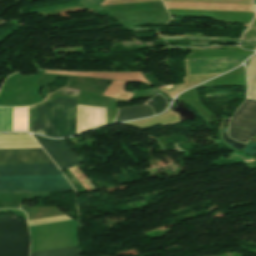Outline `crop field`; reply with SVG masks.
Wrapping results in <instances>:
<instances>
[{"label":"crop field","instance_id":"crop-field-1","mask_svg":"<svg viewBox=\"0 0 256 256\" xmlns=\"http://www.w3.org/2000/svg\"><path fill=\"white\" fill-rule=\"evenodd\" d=\"M66 181L55 164L0 165L1 182ZM25 190V191H24ZM75 191L68 182L2 183L0 193Z\"/></svg>","mask_w":256,"mask_h":256},{"label":"crop field","instance_id":"crop-field-2","mask_svg":"<svg viewBox=\"0 0 256 256\" xmlns=\"http://www.w3.org/2000/svg\"><path fill=\"white\" fill-rule=\"evenodd\" d=\"M74 119L75 105L46 102L45 135L52 137L73 135Z\"/></svg>","mask_w":256,"mask_h":256},{"label":"crop field","instance_id":"crop-field-3","mask_svg":"<svg viewBox=\"0 0 256 256\" xmlns=\"http://www.w3.org/2000/svg\"><path fill=\"white\" fill-rule=\"evenodd\" d=\"M256 134V102L246 100L230 120L229 136L241 142Z\"/></svg>","mask_w":256,"mask_h":256},{"label":"crop field","instance_id":"crop-field-4","mask_svg":"<svg viewBox=\"0 0 256 256\" xmlns=\"http://www.w3.org/2000/svg\"><path fill=\"white\" fill-rule=\"evenodd\" d=\"M34 136L60 169L64 170L70 166L77 165L82 162L80 158L77 157L73 152L65 139L52 140L36 135Z\"/></svg>","mask_w":256,"mask_h":256},{"label":"crop field","instance_id":"crop-field-5","mask_svg":"<svg viewBox=\"0 0 256 256\" xmlns=\"http://www.w3.org/2000/svg\"><path fill=\"white\" fill-rule=\"evenodd\" d=\"M247 57L188 59L190 74L225 72Z\"/></svg>","mask_w":256,"mask_h":256},{"label":"crop field","instance_id":"crop-field-6","mask_svg":"<svg viewBox=\"0 0 256 256\" xmlns=\"http://www.w3.org/2000/svg\"><path fill=\"white\" fill-rule=\"evenodd\" d=\"M53 163L43 149L0 150V164Z\"/></svg>","mask_w":256,"mask_h":256},{"label":"crop field","instance_id":"crop-field-7","mask_svg":"<svg viewBox=\"0 0 256 256\" xmlns=\"http://www.w3.org/2000/svg\"><path fill=\"white\" fill-rule=\"evenodd\" d=\"M106 124V108L77 105V133Z\"/></svg>","mask_w":256,"mask_h":256},{"label":"crop field","instance_id":"crop-field-8","mask_svg":"<svg viewBox=\"0 0 256 256\" xmlns=\"http://www.w3.org/2000/svg\"><path fill=\"white\" fill-rule=\"evenodd\" d=\"M45 102L29 107V131L44 135Z\"/></svg>","mask_w":256,"mask_h":256},{"label":"crop field","instance_id":"crop-field-9","mask_svg":"<svg viewBox=\"0 0 256 256\" xmlns=\"http://www.w3.org/2000/svg\"><path fill=\"white\" fill-rule=\"evenodd\" d=\"M118 110H119V113L115 119V122L139 118V117H145L153 114L151 107L144 106V105L120 108Z\"/></svg>","mask_w":256,"mask_h":256},{"label":"crop field","instance_id":"crop-field-10","mask_svg":"<svg viewBox=\"0 0 256 256\" xmlns=\"http://www.w3.org/2000/svg\"><path fill=\"white\" fill-rule=\"evenodd\" d=\"M80 90L64 87L53 93L46 101L77 104Z\"/></svg>","mask_w":256,"mask_h":256},{"label":"crop field","instance_id":"crop-field-11","mask_svg":"<svg viewBox=\"0 0 256 256\" xmlns=\"http://www.w3.org/2000/svg\"><path fill=\"white\" fill-rule=\"evenodd\" d=\"M248 97L256 99V55L247 68Z\"/></svg>","mask_w":256,"mask_h":256},{"label":"crop field","instance_id":"crop-field-12","mask_svg":"<svg viewBox=\"0 0 256 256\" xmlns=\"http://www.w3.org/2000/svg\"><path fill=\"white\" fill-rule=\"evenodd\" d=\"M30 256H79L77 246L33 252Z\"/></svg>","mask_w":256,"mask_h":256},{"label":"crop field","instance_id":"crop-field-13","mask_svg":"<svg viewBox=\"0 0 256 256\" xmlns=\"http://www.w3.org/2000/svg\"><path fill=\"white\" fill-rule=\"evenodd\" d=\"M0 131H12V108H0Z\"/></svg>","mask_w":256,"mask_h":256},{"label":"crop field","instance_id":"crop-field-14","mask_svg":"<svg viewBox=\"0 0 256 256\" xmlns=\"http://www.w3.org/2000/svg\"><path fill=\"white\" fill-rule=\"evenodd\" d=\"M12 148H40L36 141H23V142H0V149Z\"/></svg>","mask_w":256,"mask_h":256},{"label":"crop field","instance_id":"crop-field-15","mask_svg":"<svg viewBox=\"0 0 256 256\" xmlns=\"http://www.w3.org/2000/svg\"><path fill=\"white\" fill-rule=\"evenodd\" d=\"M70 219L71 218H69L68 216L62 215V216H56V217H50V218L31 220V221H28V224L29 226H32V225L46 224V223H52V222L70 220Z\"/></svg>","mask_w":256,"mask_h":256},{"label":"crop field","instance_id":"crop-field-16","mask_svg":"<svg viewBox=\"0 0 256 256\" xmlns=\"http://www.w3.org/2000/svg\"><path fill=\"white\" fill-rule=\"evenodd\" d=\"M34 140L30 134L0 135V141Z\"/></svg>","mask_w":256,"mask_h":256},{"label":"crop field","instance_id":"crop-field-17","mask_svg":"<svg viewBox=\"0 0 256 256\" xmlns=\"http://www.w3.org/2000/svg\"><path fill=\"white\" fill-rule=\"evenodd\" d=\"M256 38V17L252 21L249 29L244 32L242 40Z\"/></svg>","mask_w":256,"mask_h":256},{"label":"crop field","instance_id":"crop-field-18","mask_svg":"<svg viewBox=\"0 0 256 256\" xmlns=\"http://www.w3.org/2000/svg\"><path fill=\"white\" fill-rule=\"evenodd\" d=\"M256 44V39L241 41V46Z\"/></svg>","mask_w":256,"mask_h":256},{"label":"crop field","instance_id":"crop-field-19","mask_svg":"<svg viewBox=\"0 0 256 256\" xmlns=\"http://www.w3.org/2000/svg\"><path fill=\"white\" fill-rule=\"evenodd\" d=\"M253 8H254V12H255V14H256V5H254Z\"/></svg>","mask_w":256,"mask_h":256},{"label":"crop field","instance_id":"crop-field-20","mask_svg":"<svg viewBox=\"0 0 256 256\" xmlns=\"http://www.w3.org/2000/svg\"><path fill=\"white\" fill-rule=\"evenodd\" d=\"M254 4H256V0H254Z\"/></svg>","mask_w":256,"mask_h":256},{"label":"crop field","instance_id":"crop-field-21","mask_svg":"<svg viewBox=\"0 0 256 256\" xmlns=\"http://www.w3.org/2000/svg\"><path fill=\"white\" fill-rule=\"evenodd\" d=\"M254 50H256V48Z\"/></svg>","mask_w":256,"mask_h":256}]
</instances>
